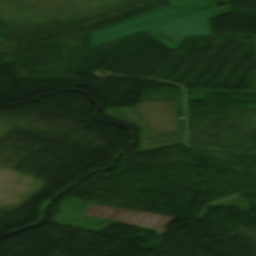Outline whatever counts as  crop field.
<instances>
[{
    "label": "crop field",
    "mask_w": 256,
    "mask_h": 256,
    "mask_svg": "<svg viewBox=\"0 0 256 256\" xmlns=\"http://www.w3.org/2000/svg\"><path fill=\"white\" fill-rule=\"evenodd\" d=\"M205 7L182 8H158L145 14L122 21L104 29L92 33L91 47H95L141 30L149 29L168 21L187 16Z\"/></svg>",
    "instance_id": "1"
},
{
    "label": "crop field",
    "mask_w": 256,
    "mask_h": 256,
    "mask_svg": "<svg viewBox=\"0 0 256 256\" xmlns=\"http://www.w3.org/2000/svg\"><path fill=\"white\" fill-rule=\"evenodd\" d=\"M231 12L229 7L211 8L154 27V31L145 30L169 49L176 48L185 36L211 35L208 19Z\"/></svg>",
    "instance_id": "2"
},
{
    "label": "crop field",
    "mask_w": 256,
    "mask_h": 256,
    "mask_svg": "<svg viewBox=\"0 0 256 256\" xmlns=\"http://www.w3.org/2000/svg\"><path fill=\"white\" fill-rule=\"evenodd\" d=\"M85 214L155 230L165 229L170 223H172L176 219L175 217L121 209L98 204H95Z\"/></svg>",
    "instance_id": "3"
},
{
    "label": "crop field",
    "mask_w": 256,
    "mask_h": 256,
    "mask_svg": "<svg viewBox=\"0 0 256 256\" xmlns=\"http://www.w3.org/2000/svg\"><path fill=\"white\" fill-rule=\"evenodd\" d=\"M170 6L215 5L214 0H169Z\"/></svg>",
    "instance_id": "4"
},
{
    "label": "crop field",
    "mask_w": 256,
    "mask_h": 256,
    "mask_svg": "<svg viewBox=\"0 0 256 256\" xmlns=\"http://www.w3.org/2000/svg\"><path fill=\"white\" fill-rule=\"evenodd\" d=\"M254 43H255V48H256V36H253Z\"/></svg>",
    "instance_id": "5"
}]
</instances>
